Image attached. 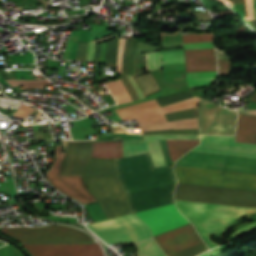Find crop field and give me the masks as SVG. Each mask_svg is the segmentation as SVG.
Returning <instances> with one entry per match:
<instances>
[{
    "instance_id": "8a807250",
    "label": "crop field",
    "mask_w": 256,
    "mask_h": 256,
    "mask_svg": "<svg viewBox=\"0 0 256 256\" xmlns=\"http://www.w3.org/2000/svg\"><path fill=\"white\" fill-rule=\"evenodd\" d=\"M56 146L55 159L46 176L65 195L83 204L98 200L107 219L132 213L126 194L116 174L114 159L91 158L83 179L94 196L86 189L81 176H60L65 153ZM91 157H123L122 141L98 142L92 146ZM118 171L126 192L176 180L172 166L154 168L149 153L117 159ZM175 183L128 193L133 212L174 203Z\"/></svg>"
},
{
    "instance_id": "ac0d7876",
    "label": "crop field",
    "mask_w": 256,
    "mask_h": 256,
    "mask_svg": "<svg viewBox=\"0 0 256 256\" xmlns=\"http://www.w3.org/2000/svg\"><path fill=\"white\" fill-rule=\"evenodd\" d=\"M202 143L191 151L256 157V145L234 143V137L201 136ZM236 142L256 144V116L239 117ZM188 152L175 165L219 171L256 174V158ZM174 167L178 182L256 191V176Z\"/></svg>"
},
{
    "instance_id": "34b2d1b8",
    "label": "crop field",
    "mask_w": 256,
    "mask_h": 256,
    "mask_svg": "<svg viewBox=\"0 0 256 256\" xmlns=\"http://www.w3.org/2000/svg\"><path fill=\"white\" fill-rule=\"evenodd\" d=\"M175 200L214 203L256 208V192L222 189L178 183ZM175 201L187 218L191 217L211 248L219 245L209 239V234L222 232L236 219L256 213V209Z\"/></svg>"
},
{
    "instance_id": "412701ff",
    "label": "crop field",
    "mask_w": 256,
    "mask_h": 256,
    "mask_svg": "<svg viewBox=\"0 0 256 256\" xmlns=\"http://www.w3.org/2000/svg\"><path fill=\"white\" fill-rule=\"evenodd\" d=\"M1 232L18 239L23 244L94 242L91 237L74 228L59 225L36 228L2 227Z\"/></svg>"
},
{
    "instance_id": "f4fd0767",
    "label": "crop field",
    "mask_w": 256,
    "mask_h": 256,
    "mask_svg": "<svg viewBox=\"0 0 256 256\" xmlns=\"http://www.w3.org/2000/svg\"><path fill=\"white\" fill-rule=\"evenodd\" d=\"M87 226L108 244L124 242L128 245L152 236L149 229L132 214Z\"/></svg>"
},
{
    "instance_id": "dd49c442",
    "label": "crop field",
    "mask_w": 256,
    "mask_h": 256,
    "mask_svg": "<svg viewBox=\"0 0 256 256\" xmlns=\"http://www.w3.org/2000/svg\"><path fill=\"white\" fill-rule=\"evenodd\" d=\"M154 238L167 256H196L208 250L191 223Z\"/></svg>"
},
{
    "instance_id": "e52e79f7",
    "label": "crop field",
    "mask_w": 256,
    "mask_h": 256,
    "mask_svg": "<svg viewBox=\"0 0 256 256\" xmlns=\"http://www.w3.org/2000/svg\"><path fill=\"white\" fill-rule=\"evenodd\" d=\"M198 117L200 134L234 135L235 111L201 100Z\"/></svg>"
},
{
    "instance_id": "d8731c3e",
    "label": "crop field",
    "mask_w": 256,
    "mask_h": 256,
    "mask_svg": "<svg viewBox=\"0 0 256 256\" xmlns=\"http://www.w3.org/2000/svg\"><path fill=\"white\" fill-rule=\"evenodd\" d=\"M198 99L199 98L195 97L163 108H160L158 102L154 99L148 102L116 109V112L123 121L137 119L139 123H142L163 120L165 119L163 114L196 107Z\"/></svg>"
},
{
    "instance_id": "5a996713",
    "label": "crop field",
    "mask_w": 256,
    "mask_h": 256,
    "mask_svg": "<svg viewBox=\"0 0 256 256\" xmlns=\"http://www.w3.org/2000/svg\"><path fill=\"white\" fill-rule=\"evenodd\" d=\"M144 139H199L197 135L144 136ZM199 144V140H167L172 162ZM124 157L149 152L147 140L123 141Z\"/></svg>"
},
{
    "instance_id": "3316defc",
    "label": "crop field",
    "mask_w": 256,
    "mask_h": 256,
    "mask_svg": "<svg viewBox=\"0 0 256 256\" xmlns=\"http://www.w3.org/2000/svg\"><path fill=\"white\" fill-rule=\"evenodd\" d=\"M135 215L151 228L154 236L189 223L177 210L175 204L153 208Z\"/></svg>"
},
{
    "instance_id": "28ad6ade",
    "label": "crop field",
    "mask_w": 256,
    "mask_h": 256,
    "mask_svg": "<svg viewBox=\"0 0 256 256\" xmlns=\"http://www.w3.org/2000/svg\"><path fill=\"white\" fill-rule=\"evenodd\" d=\"M32 256H104L98 243L74 245H24Z\"/></svg>"
},
{
    "instance_id": "d1516ede",
    "label": "crop field",
    "mask_w": 256,
    "mask_h": 256,
    "mask_svg": "<svg viewBox=\"0 0 256 256\" xmlns=\"http://www.w3.org/2000/svg\"><path fill=\"white\" fill-rule=\"evenodd\" d=\"M91 142L68 143L65 164L61 175H82L90 158Z\"/></svg>"
},
{
    "instance_id": "22f410ed",
    "label": "crop field",
    "mask_w": 256,
    "mask_h": 256,
    "mask_svg": "<svg viewBox=\"0 0 256 256\" xmlns=\"http://www.w3.org/2000/svg\"><path fill=\"white\" fill-rule=\"evenodd\" d=\"M186 72L217 71L215 49L185 50Z\"/></svg>"
},
{
    "instance_id": "cbeb9de0",
    "label": "crop field",
    "mask_w": 256,
    "mask_h": 256,
    "mask_svg": "<svg viewBox=\"0 0 256 256\" xmlns=\"http://www.w3.org/2000/svg\"><path fill=\"white\" fill-rule=\"evenodd\" d=\"M140 130H163V129H184L198 128L196 118L167 122L166 120L139 124Z\"/></svg>"
},
{
    "instance_id": "5142ce71",
    "label": "crop field",
    "mask_w": 256,
    "mask_h": 256,
    "mask_svg": "<svg viewBox=\"0 0 256 256\" xmlns=\"http://www.w3.org/2000/svg\"><path fill=\"white\" fill-rule=\"evenodd\" d=\"M217 77V72H193L187 73L189 87H204ZM212 84V83H211Z\"/></svg>"
},
{
    "instance_id": "d9b57169",
    "label": "crop field",
    "mask_w": 256,
    "mask_h": 256,
    "mask_svg": "<svg viewBox=\"0 0 256 256\" xmlns=\"http://www.w3.org/2000/svg\"><path fill=\"white\" fill-rule=\"evenodd\" d=\"M134 245L137 250V256H165L154 242L153 237Z\"/></svg>"
},
{
    "instance_id": "733c2abd",
    "label": "crop field",
    "mask_w": 256,
    "mask_h": 256,
    "mask_svg": "<svg viewBox=\"0 0 256 256\" xmlns=\"http://www.w3.org/2000/svg\"><path fill=\"white\" fill-rule=\"evenodd\" d=\"M118 102V104L130 102L131 99L121 81V79L109 81L105 83Z\"/></svg>"
},
{
    "instance_id": "4a817a6b",
    "label": "crop field",
    "mask_w": 256,
    "mask_h": 256,
    "mask_svg": "<svg viewBox=\"0 0 256 256\" xmlns=\"http://www.w3.org/2000/svg\"><path fill=\"white\" fill-rule=\"evenodd\" d=\"M118 37L107 42V54L105 64L116 69V57L118 50Z\"/></svg>"
},
{
    "instance_id": "bc2a9ffb",
    "label": "crop field",
    "mask_w": 256,
    "mask_h": 256,
    "mask_svg": "<svg viewBox=\"0 0 256 256\" xmlns=\"http://www.w3.org/2000/svg\"><path fill=\"white\" fill-rule=\"evenodd\" d=\"M148 144H149L151 158L155 164V167L165 165L163 157H162L159 141L158 140H148Z\"/></svg>"
},
{
    "instance_id": "214f88e0",
    "label": "crop field",
    "mask_w": 256,
    "mask_h": 256,
    "mask_svg": "<svg viewBox=\"0 0 256 256\" xmlns=\"http://www.w3.org/2000/svg\"><path fill=\"white\" fill-rule=\"evenodd\" d=\"M12 86L23 85L24 88H43L51 84L47 79L43 80H7Z\"/></svg>"
},
{
    "instance_id": "92a150f3",
    "label": "crop field",
    "mask_w": 256,
    "mask_h": 256,
    "mask_svg": "<svg viewBox=\"0 0 256 256\" xmlns=\"http://www.w3.org/2000/svg\"><path fill=\"white\" fill-rule=\"evenodd\" d=\"M226 4H237V3H244V12L245 18L256 20V0L254 1V17H253V1L252 0H221Z\"/></svg>"
},
{
    "instance_id": "dafd665d",
    "label": "crop field",
    "mask_w": 256,
    "mask_h": 256,
    "mask_svg": "<svg viewBox=\"0 0 256 256\" xmlns=\"http://www.w3.org/2000/svg\"><path fill=\"white\" fill-rule=\"evenodd\" d=\"M194 97L193 95L187 93V92H180L177 94H173V95H169V96H165V97H161V98H157V101L159 102V104L162 106L168 105V104H172L178 101H182L185 99H189Z\"/></svg>"
},
{
    "instance_id": "00972430",
    "label": "crop field",
    "mask_w": 256,
    "mask_h": 256,
    "mask_svg": "<svg viewBox=\"0 0 256 256\" xmlns=\"http://www.w3.org/2000/svg\"><path fill=\"white\" fill-rule=\"evenodd\" d=\"M183 43L213 41V33L182 35Z\"/></svg>"
},
{
    "instance_id": "a9b5d70f",
    "label": "crop field",
    "mask_w": 256,
    "mask_h": 256,
    "mask_svg": "<svg viewBox=\"0 0 256 256\" xmlns=\"http://www.w3.org/2000/svg\"><path fill=\"white\" fill-rule=\"evenodd\" d=\"M162 63L184 62V52L161 53Z\"/></svg>"
},
{
    "instance_id": "4177f3b9",
    "label": "crop field",
    "mask_w": 256,
    "mask_h": 256,
    "mask_svg": "<svg viewBox=\"0 0 256 256\" xmlns=\"http://www.w3.org/2000/svg\"><path fill=\"white\" fill-rule=\"evenodd\" d=\"M147 71L160 68V52H152L146 54Z\"/></svg>"
},
{
    "instance_id": "730fd06b",
    "label": "crop field",
    "mask_w": 256,
    "mask_h": 256,
    "mask_svg": "<svg viewBox=\"0 0 256 256\" xmlns=\"http://www.w3.org/2000/svg\"><path fill=\"white\" fill-rule=\"evenodd\" d=\"M165 116L168 121L177 120V119H185V118H193V117H196V108L188 109V110H184V111H180V112H176V113H172V114H167Z\"/></svg>"
},
{
    "instance_id": "eef30255",
    "label": "crop field",
    "mask_w": 256,
    "mask_h": 256,
    "mask_svg": "<svg viewBox=\"0 0 256 256\" xmlns=\"http://www.w3.org/2000/svg\"><path fill=\"white\" fill-rule=\"evenodd\" d=\"M219 75L229 76L231 60L230 59H218Z\"/></svg>"
},
{
    "instance_id": "ae1a2a85",
    "label": "crop field",
    "mask_w": 256,
    "mask_h": 256,
    "mask_svg": "<svg viewBox=\"0 0 256 256\" xmlns=\"http://www.w3.org/2000/svg\"><path fill=\"white\" fill-rule=\"evenodd\" d=\"M116 36H118V35L114 34V35L109 36V37H105V38H101V39H98V40L91 41L90 42L89 51H88L87 60L92 61V59H93V55H94V51H95L94 44L100 43V42H104V41H108V40H110V39H112V38H114Z\"/></svg>"
},
{
    "instance_id": "d3111659",
    "label": "crop field",
    "mask_w": 256,
    "mask_h": 256,
    "mask_svg": "<svg viewBox=\"0 0 256 256\" xmlns=\"http://www.w3.org/2000/svg\"><path fill=\"white\" fill-rule=\"evenodd\" d=\"M136 44H137V40L132 39L131 54H130V57L128 58V61H129L128 74L130 75H134V54H136Z\"/></svg>"
},
{
    "instance_id": "750c4746",
    "label": "crop field",
    "mask_w": 256,
    "mask_h": 256,
    "mask_svg": "<svg viewBox=\"0 0 256 256\" xmlns=\"http://www.w3.org/2000/svg\"><path fill=\"white\" fill-rule=\"evenodd\" d=\"M142 133H145V134H161V133H192V134H198V129L148 131V132H142Z\"/></svg>"
},
{
    "instance_id": "bd1437ed",
    "label": "crop field",
    "mask_w": 256,
    "mask_h": 256,
    "mask_svg": "<svg viewBox=\"0 0 256 256\" xmlns=\"http://www.w3.org/2000/svg\"><path fill=\"white\" fill-rule=\"evenodd\" d=\"M130 48H131V39H126L125 51L123 56V69H122V73H125V74L128 68L127 56H129L130 54Z\"/></svg>"
},
{
    "instance_id": "1d83c4d3",
    "label": "crop field",
    "mask_w": 256,
    "mask_h": 256,
    "mask_svg": "<svg viewBox=\"0 0 256 256\" xmlns=\"http://www.w3.org/2000/svg\"><path fill=\"white\" fill-rule=\"evenodd\" d=\"M87 47L88 43L79 42L75 60H85L87 54Z\"/></svg>"
},
{
    "instance_id": "120bbe31",
    "label": "crop field",
    "mask_w": 256,
    "mask_h": 256,
    "mask_svg": "<svg viewBox=\"0 0 256 256\" xmlns=\"http://www.w3.org/2000/svg\"><path fill=\"white\" fill-rule=\"evenodd\" d=\"M121 79H122V81H123V83H124L128 93H129L132 101L138 100L139 98H138L136 92L134 91V89L132 88V86L130 85V83H129L128 79L126 78V76L121 75Z\"/></svg>"
},
{
    "instance_id": "d32e631a",
    "label": "crop field",
    "mask_w": 256,
    "mask_h": 256,
    "mask_svg": "<svg viewBox=\"0 0 256 256\" xmlns=\"http://www.w3.org/2000/svg\"><path fill=\"white\" fill-rule=\"evenodd\" d=\"M36 109L21 104L19 110L14 113L16 116L26 118L29 114L33 113Z\"/></svg>"
},
{
    "instance_id": "5866460e",
    "label": "crop field",
    "mask_w": 256,
    "mask_h": 256,
    "mask_svg": "<svg viewBox=\"0 0 256 256\" xmlns=\"http://www.w3.org/2000/svg\"><path fill=\"white\" fill-rule=\"evenodd\" d=\"M124 42H125V38L120 39L118 57H117V71H119L120 73H121V66H122Z\"/></svg>"
},
{
    "instance_id": "028f5c9d",
    "label": "crop field",
    "mask_w": 256,
    "mask_h": 256,
    "mask_svg": "<svg viewBox=\"0 0 256 256\" xmlns=\"http://www.w3.org/2000/svg\"><path fill=\"white\" fill-rule=\"evenodd\" d=\"M0 256H22L11 245L0 249Z\"/></svg>"
},
{
    "instance_id": "e1f06a70",
    "label": "crop field",
    "mask_w": 256,
    "mask_h": 256,
    "mask_svg": "<svg viewBox=\"0 0 256 256\" xmlns=\"http://www.w3.org/2000/svg\"><path fill=\"white\" fill-rule=\"evenodd\" d=\"M185 49L192 48H214L213 42L184 44Z\"/></svg>"
},
{
    "instance_id": "0bd39190",
    "label": "crop field",
    "mask_w": 256,
    "mask_h": 256,
    "mask_svg": "<svg viewBox=\"0 0 256 256\" xmlns=\"http://www.w3.org/2000/svg\"><path fill=\"white\" fill-rule=\"evenodd\" d=\"M127 78L129 79L131 85L133 86V88L135 89V91L137 92L139 98H144V95L142 94V92L140 91L138 85L136 84L133 76H127Z\"/></svg>"
},
{
    "instance_id": "b80d0937",
    "label": "crop field",
    "mask_w": 256,
    "mask_h": 256,
    "mask_svg": "<svg viewBox=\"0 0 256 256\" xmlns=\"http://www.w3.org/2000/svg\"><path fill=\"white\" fill-rule=\"evenodd\" d=\"M254 227H256V223L248 225V226H246V227H244V228H242L240 230H237V231L233 232L232 235L236 236L238 234H243V233L247 232L248 230H250V229H252Z\"/></svg>"
},
{
    "instance_id": "c035e120",
    "label": "crop field",
    "mask_w": 256,
    "mask_h": 256,
    "mask_svg": "<svg viewBox=\"0 0 256 256\" xmlns=\"http://www.w3.org/2000/svg\"><path fill=\"white\" fill-rule=\"evenodd\" d=\"M96 51H95V57L93 61H99L101 56V44L95 45Z\"/></svg>"
},
{
    "instance_id": "c21b1889",
    "label": "crop field",
    "mask_w": 256,
    "mask_h": 256,
    "mask_svg": "<svg viewBox=\"0 0 256 256\" xmlns=\"http://www.w3.org/2000/svg\"><path fill=\"white\" fill-rule=\"evenodd\" d=\"M218 252H221V250L219 248H215V249H213V250H211V251H209V252H207V253H205L203 255H200V256H211V255H214V254H216Z\"/></svg>"
},
{
    "instance_id": "03da06ac",
    "label": "crop field",
    "mask_w": 256,
    "mask_h": 256,
    "mask_svg": "<svg viewBox=\"0 0 256 256\" xmlns=\"http://www.w3.org/2000/svg\"><path fill=\"white\" fill-rule=\"evenodd\" d=\"M241 113H248V114L256 115V110H244V111H241Z\"/></svg>"
},
{
    "instance_id": "b54c1fbb",
    "label": "crop field",
    "mask_w": 256,
    "mask_h": 256,
    "mask_svg": "<svg viewBox=\"0 0 256 256\" xmlns=\"http://www.w3.org/2000/svg\"><path fill=\"white\" fill-rule=\"evenodd\" d=\"M250 100H252L253 102H255L256 103V96H254L252 99H250Z\"/></svg>"
}]
</instances>
